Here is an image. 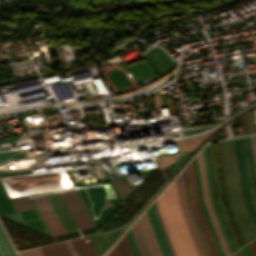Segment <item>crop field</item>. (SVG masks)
<instances>
[{
	"label": "crop field",
	"mask_w": 256,
	"mask_h": 256,
	"mask_svg": "<svg viewBox=\"0 0 256 256\" xmlns=\"http://www.w3.org/2000/svg\"><path fill=\"white\" fill-rule=\"evenodd\" d=\"M0 256H8L2 242L0 241Z\"/></svg>",
	"instance_id": "crop-field-16"
},
{
	"label": "crop field",
	"mask_w": 256,
	"mask_h": 256,
	"mask_svg": "<svg viewBox=\"0 0 256 256\" xmlns=\"http://www.w3.org/2000/svg\"><path fill=\"white\" fill-rule=\"evenodd\" d=\"M175 182H176V188H177L180 208L182 210V213H183V216L185 218L186 224L188 226L189 232H190L191 237L193 239V242H194V245L196 247L197 253H198L199 256H206V253H205L204 248L202 246L201 240H200L199 235L197 233L196 227L194 225V222H193L192 217L190 215L189 209L187 207L181 173L175 179Z\"/></svg>",
	"instance_id": "crop-field-4"
},
{
	"label": "crop field",
	"mask_w": 256,
	"mask_h": 256,
	"mask_svg": "<svg viewBox=\"0 0 256 256\" xmlns=\"http://www.w3.org/2000/svg\"><path fill=\"white\" fill-rule=\"evenodd\" d=\"M193 162H194V168H195V174H196V179H197V185H198V190H199V196H200L201 206H202V208H203L204 214H205V216H206L207 222H208V224H209V227H210V230H211V232H212L213 238H214V240H215L216 246H217V248H218L219 254H220V256H224V255H223V252H222V249H221V247H220L219 241H218V239H217V236H216V234H215L214 228H213L212 223H211V221H210L209 215H208V213H207L206 207H205V205H204L196 157L193 159Z\"/></svg>",
	"instance_id": "crop-field-8"
},
{
	"label": "crop field",
	"mask_w": 256,
	"mask_h": 256,
	"mask_svg": "<svg viewBox=\"0 0 256 256\" xmlns=\"http://www.w3.org/2000/svg\"><path fill=\"white\" fill-rule=\"evenodd\" d=\"M18 254L19 256H43L39 248L20 251Z\"/></svg>",
	"instance_id": "crop-field-12"
},
{
	"label": "crop field",
	"mask_w": 256,
	"mask_h": 256,
	"mask_svg": "<svg viewBox=\"0 0 256 256\" xmlns=\"http://www.w3.org/2000/svg\"><path fill=\"white\" fill-rule=\"evenodd\" d=\"M185 172H186L191 207L193 209L198 225L200 227V230L202 232V235L208 247L209 253L211 256H219L215 243L213 241L212 235L210 233L209 227L207 225L206 219L204 217L203 211L200 206L192 161L185 168Z\"/></svg>",
	"instance_id": "crop-field-3"
},
{
	"label": "crop field",
	"mask_w": 256,
	"mask_h": 256,
	"mask_svg": "<svg viewBox=\"0 0 256 256\" xmlns=\"http://www.w3.org/2000/svg\"><path fill=\"white\" fill-rule=\"evenodd\" d=\"M142 217H143L144 222H145V224H146L147 230H148V232H149V235H150V237H151V240H152V243H153V245H154V248H155V250H156L157 255H158V256H162V255H161V252H160V249H159V247H158V244H157V242H156L155 236H154V234H153L152 228H151L150 223H149V221H148V218H147L146 213H144V214L142 215Z\"/></svg>",
	"instance_id": "crop-field-11"
},
{
	"label": "crop field",
	"mask_w": 256,
	"mask_h": 256,
	"mask_svg": "<svg viewBox=\"0 0 256 256\" xmlns=\"http://www.w3.org/2000/svg\"><path fill=\"white\" fill-rule=\"evenodd\" d=\"M197 158H198V164H199V170H200V176H201V182H202L205 205L207 207V210H208V213L210 215L211 221L213 223L216 234H217L218 239L220 241V244H221V247L223 249L224 255L229 256L230 253L228 251L225 240L223 238V235L221 233V230H220L219 225L217 223V220L215 218L214 212H213L212 207L210 205V200H209V194H208V188H207V182H206V176H205V170H204V164H203V158H202V152L201 151L197 155Z\"/></svg>",
	"instance_id": "crop-field-6"
},
{
	"label": "crop field",
	"mask_w": 256,
	"mask_h": 256,
	"mask_svg": "<svg viewBox=\"0 0 256 256\" xmlns=\"http://www.w3.org/2000/svg\"><path fill=\"white\" fill-rule=\"evenodd\" d=\"M146 225V224H145ZM142 217L130 228L141 256H156Z\"/></svg>",
	"instance_id": "crop-field-5"
},
{
	"label": "crop field",
	"mask_w": 256,
	"mask_h": 256,
	"mask_svg": "<svg viewBox=\"0 0 256 256\" xmlns=\"http://www.w3.org/2000/svg\"><path fill=\"white\" fill-rule=\"evenodd\" d=\"M232 256H242V253H241V251H238L237 253H235V254L232 255Z\"/></svg>",
	"instance_id": "crop-field-18"
},
{
	"label": "crop field",
	"mask_w": 256,
	"mask_h": 256,
	"mask_svg": "<svg viewBox=\"0 0 256 256\" xmlns=\"http://www.w3.org/2000/svg\"><path fill=\"white\" fill-rule=\"evenodd\" d=\"M247 246L249 248L251 256H256V247H255L254 242L247 244Z\"/></svg>",
	"instance_id": "crop-field-15"
},
{
	"label": "crop field",
	"mask_w": 256,
	"mask_h": 256,
	"mask_svg": "<svg viewBox=\"0 0 256 256\" xmlns=\"http://www.w3.org/2000/svg\"><path fill=\"white\" fill-rule=\"evenodd\" d=\"M158 211L176 256H198L179 208L175 182L157 199Z\"/></svg>",
	"instance_id": "crop-field-1"
},
{
	"label": "crop field",
	"mask_w": 256,
	"mask_h": 256,
	"mask_svg": "<svg viewBox=\"0 0 256 256\" xmlns=\"http://www.w3.org/2000/svg\"><path fill=\"white\" fill-rule=\"evenodd\" d=\"M126 234H127L128 238H129V241H130V244H131V246H132V249H133V252H134L135 256H140L139 253H138V250H137V248H136V245H135V242H134V240H133V237H132V235H131L130 230H128V231L126 232Z\"/></svg>",
	"instance_id": "crop-field-13"
},
{
	"label": "crop field",
	"mask_w": 256,
	"mask_h": 256,
	"mask_svg": "<svg viewBox=\"0 0 256 256\" xmlns=\"http://www.w3.org/2000/svg\"><path fill=\"white\" fill-rule=\"evenodd\" d=\"M243 201L256 230V172L250 138L233 139Z\"/></svg>",
	"instance_id": "crop-field-2"
},
{
	"label": "crop field",
	"mask_w": 256,
	"mask_h": 256,
	"mask_svg": "<svg viewBox=\"0 0 256 256\" xmlns=\"http://www.w3.org/2000/svg\"><path fill=\"white\" fill-rule=\"evenodd\" d=\"M149 221L151 223V226L153 228L154 234L156 236L157 242L159 244V247L161 249L163 256H172V253L170 251V248L168 246V243L166 241V238L164 236V233L162 231V228L160 226V223L158 221V218L156 216V213L154 211L153 204L150 206V208L146 211Z\"/></svg>",
	"instance_id": "crop-field-7"
},
{
	"label": "crop field",
	"mask_w": 256,
	"mask_h": 256,
	"mask_svg": "<svg viewBox=\"0 0 256 256\" xmlns=\"http://www.w3.org/2000/svg\"><path fill=\"white\" fill-rule=\"evenodd\" d=\"M79 256H97L90 241L84 242L82 238L71 240Z\"/></svg>",
	"instance_id": "crop-field-10"
},
{
	"label": "crop field",
	"mask_w": 256,
	"mask_h": 256,
	"mask_svg": "<svg viewBox=\"0 0 256 256\" xmlns=\"http://www.w3.org/2000/svg\"><path fill=\"white\" fill-rule=\"evenodd\" d=\"M44 256H72L66 243H58L41 248Z\"/></svg>",
	"instance_id": "crop-field-9"
},
{
	"label": "crop field",
	"mask_w": 256,
	"mask_h": 256,
	"mask_svg": "<svg viewBox=\"0 0 256 256\" xmlns=\"http://www.w3.org/2000/svg\"><path fill=\"white\" fill-rule=\"evenodd\" d=\"M243 256H250L247 246L241 249Z\"/></svg>",
	"instance_id": "crop-field-17"
},
{
	"label": "crop field",
	"mask_w": 256,
	"mask_h": 256,
	"mask_svg": "<svg viewBox=\"0 0 256 256\" xmlns=\"http://www.w3.org/2000/svg\"><path fill=\"white\" fill-rule=\"evenodd\" d=\"M154 206H155V211H156V213H157V216H158V218H159V221H160V223H161V226H162V228H163V231H164V233H165V236H166V238H167V241H168V243H169V246H170V248H171V245H170V242H169V240H168L167 234H166V232H165V229H164V227H163V224H162V221H161V219H160L159 213H158V211H157L156 201L154 202ZM171 251H172V253H173L172 248H171ZM173 256H175L174 253H173Z\"/></svg>",
	"instance_id": "crop-field-14"
}]
</instances>
